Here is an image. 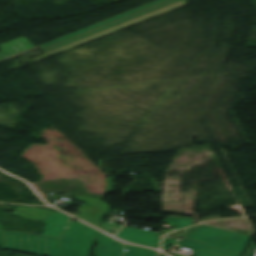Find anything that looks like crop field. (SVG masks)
<instances>
[{"instance_id": "d8731c3e", "label": "crop field", "mask_w": 256, "mask_h": 256, "mask_svg": "<svg viewBox=\"0 0 256 256\" xmlns=\"http://www.w3.org/2000/svg\"><path fill=\"white\" fill-rule=\"evenodd\" d=\"M69 218L70 217L67 215L58 212L49 216L45 221L42 222L43 224H47L42 235L59 237Z\"/></svg>"}, {"instance_id": "f4fd0767", "label": "crop field", "mask_w": 256, "mask_h": 256, "mask_svg": "<svg viewBox=\"0 0 256 256\" xmlns=\"http://www.w3.org/2000/svg\"><path fill=\"white\" fill-rule=\"evenodd\" d=\"M160 233L126 227L115 237L134 244L158 248Z\"/></svg>"}, {"instance_id": "d1516ede", "label": "crop field", "mask_w": 256, "mask_h": 256, "mask_svg": "<svg viewBox=\"0 0 256 256\" xmlns=\"http://www.w3.org/2000/svg\"><path fill=\"white\" fill-rule=\"evenodd\" d=\"M175 243V239H165L163 243V249L167 250L168 247Z\"/></svg>"}, {"instance_id": "e52e79f7", "label": "crop field", "mask_w": 256, "mask_h": 256, "mask_svg": "<svg viewBox=\"0 0 256 256\" xmlns=\"http://www.w3.org/2000/svg\"><path fill=\"white\" fill-rule=\"evenodd\" d=\"M114 243L116 244L115 246ZM123 245L114 241L112 238L100 234L98 238V243L95 248L96 256H121Z\"/></svg>"}, {"instance_id": "8a807250", "label": "crop field", "mask_w": 256, "mask_h": 256, "mask_svg": "<svg viewBox=\"0 0 256 256\" xmlns=\"http://www.w3.org/2000/svg\"><path fill=\"white\" fill-rule=\"evenodd\" d=\"M250 238L248 235L203 225L177 244L193 250L191 256H241Z\"/></svg>"}, {"instance_id": "ac0d7876", "label": "crop field", "mask_w": 256, "mask_h": 256, "mask_svg": "<svg viewBox=\"0 0 256 256\" xmlns=\"http://www.w3.org/2000/svg\"><path fill=\"white\" fill-rule=\"evenodd\" d=\"M0 248L43 256H62L60 238L0 230Z\"/></svg>"}, {"instance_id": "34b2d1b8", "label": "crop field", "mask_w": 256, "mask_h": 256, "mask_svg": "<svg viewBox=\"0 0 256 256\" xmlns=\"http://www.w3.org/2000/svg\"><path fill=\"white\" fill-rule=\"evenodd\" d=\"M98 233L81 222L71 220L61 239L63 256H88L91 252L90 242Z\"/></svg>"}, {"instance_id": "22f410ed", "label": "crop field", "mask_w": 256, "mask_h": 256, "mask_svg": "<svg viewBox=\"0 0 256 256\" xmlns=\"http://www.w3.org/2000/svg\"><path fill=\"white\" fill-rule=\"evenodd\" d=\"M160 256H165V255H163V254L160 253Z\"/></svg>"}, {"instance_id": "3316defc", "label": "crop field", "mask_w": 256, "mask_h": 256, "mask_svg": "<svg viewBox=\"0 0 256 256\" xmlns=\"http://www.w3.org/2000/svg\"><path fill=\"white\" fill-rule=\"evenodd\" d=\"M125 249H128V250L127 252H124V256H156L157 255L156 251H152V250H148V249H144V248H140V247H136L128 244H125Z\"/></svg>"}, {"instance_id": "412701ff", "label": "crop field", "mask_w": 256, "mask_h": 256, "mask_svg": "<svg viewBox=\"0 0 256 256\" xmlns=\"http://www.w3.org/2000/svg\"><path fill=\"white\" fill-rule=\"evenodd\" d=\"M181 1H183V0H170V1H168V2L162 3V4H160V5H157V6H155V7H152V8H150V9L144 10V11L139 12V13H137V14L131 15V16L126 17V18H124V19L118 20V21L113 22V23H111V24H108V25H105V26L100 27V28H98V29H95V30H92V31H90V32H87V33L82 34V35H80V36L74 37V38H72V39H69V40H67V41L61 42V43L56 44V45H54V46L48 47V48H46V50H48L49 52H51V51H53V50L59 49V48L64 47V46H66V45L72 44V43L77 42V41H79V40L85 39V38L90 37V36H92V35L98 34V33L103 32V31H105V30L111 29V28H113V27H116V26H118V25H121V24H123V23L129 22V21H131V20H134V19H136V18L142 17V16H144V15H147V14H149V13L155 12V11H157V10H160V9H162V8L168 7V6H170V5H173V4L178 3V2H181Z\"/></svg>"}, {"instance_id": "dd49c442", "label": "crop field", "mask_w": 256, "mask_h": 256, "mask_svg": "<svg viewBox=\"0 0 256 256\" xmlns=\"http://www.w3.org/2000/svg\"><path fill=\"white\" fill-rule=\"evenodd\" d=\"M34 48L32 43L26 37H19L6 43L0 44V60L23 51Z\"/></svg>"}, {"instance_id": "5a996713", "label": "crop field", "mask_w": 256, "mask_h": 256, "mask_svg": "<svg viewBox=\"0 0 256 256\" xmlns=\"http://www.w3.org/2000/svg\"><path fill=\"white\" fill-rule=\"evenodd\" d=\"M75 199L86 201L88 205L78 207V212L105 216L110 212V206L98 199L87 198L77 195Z\"/></svg>"}, {"instance_id": "28ad6ade", "label": "crop field", "mask_w": 256, "mask_h": 256, "mask_svg": "<svg viewBox=\"0 0 256 256\" xmlns=\"http://www.w3.org/2000/svg\"><path fill=\"white\" fill-rule=\"evenodd\" d=\"M97 228H99L100 230L104 231V229L100 226L99 221L101 220V216H95V215H89V214H83V213H79V214H71Z\"/></svg>"}]
</instances>
